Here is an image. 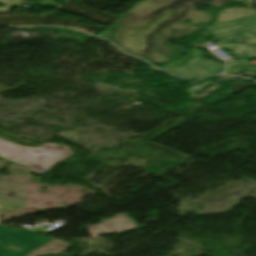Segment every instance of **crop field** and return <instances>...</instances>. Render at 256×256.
I'll return each instance as SVG.
<instances>
[{
    "label": "crop field",
    "mask_w": 256,
    "mask_h": 256,
    "mask_svg": "<svg viewBox=\"0 0 256 256\" xmlns=\"http://www.w3.org/2000/svg\"><path fill=\"white\" fill-rule=\"evenodd\" d=\"M72 155L64 146L45 144L39 148H28L0 139V157L23 164L37 174L46 173L56 162Z\"/></svg>",
    "instance_id": "obj_1"
},
{
    "label": "crop field",
    "mask_w": 256,
    "mask_h": 256,
    "mask_svg": "<svg viewBox=\"0 0 256 256\" xmlns=\"http://www.w3.org/2000/svg\"><path fill=\"white\" fill-rule=\"evenodd\" d=\"M54 238L42 236L40 233L25 229H15L0 225V245L14 242L12 246H22L19 251H11L0 246V256H25Z\"/></svg>",
    "instance_id": "obj_2"
},
{
    "label": "crop field",
    "mask_w": 256,
    "mask_h": 256,
    "mask_svg": "<svg viewBox=\"0 0 256 256\" xmlns=\"http://www.w3.org/2000/svg\"><path fill=\"white\" fill-rule=\"evenodd\" d=\"M91 232L93 237L100 234L116 233L137 226L131 221L126 214H119L112 220L102 221V224L97 226H85Z\"/></svg>",
    "instance_id": "obj_3"
},
{
    "label": "crop field",
    "mask_w": 256,
    "mask_h": 256,
    "mask_svg": "<svg viewBox=\"0 0 256 256\" xmlns=\"http://www.w3.org/2000/svg\"><path fill=\"white\" fill-rule=\"evenodd\" d=\"M222 13H223V15H221ZM252 14H256V11H254L252 9L247 10L244 8L232 7V8L222 11L219 14V17L215 24L223 23L226 21L234 20V19L245 17V16L252 15Z\"/></svg>",
    "instance_id": "obj_4"
},
{
    "label": "crop field",
    "mask_w": 256,
    "mask_h": 256,
    "mask_svg": "<svg viewBox=\"0 0 256 256\" xmlns=\"http://www.w3.org/2000/svg\"><path fill=\"white\" fill-rule=\"evenodd\" d=\"M68 247H70L69 243L54 239L27 256L45 255L47 253L57 254Z\"/></svg>",
    "instance_id": "obj_5"
},
{
    "label": "crop field",
    "mask_w": 256,
    "mask_h": 256,
    "mask_svg": "<svg viewBox=\"0 0 256 256\" xmlns=\"http://www.w3.org/2000/svg\"><path fill=\"white\" fill-rule=\"evenodd\" d=\"M242 75L256 76V70H246Z\"/></svg>",
    "instance_id": "obj_6"
}]
</instances>
